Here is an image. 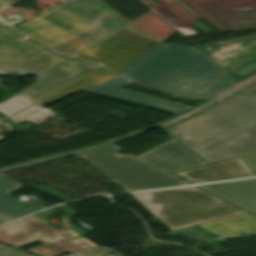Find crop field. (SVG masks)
I'll list each match as a JSON object with an SVG mask.
<instances>
[{
	"label": "crop field",
	"instance_id": "22",
	"mask_svg": "<svg viewBox=\"0 0 256 256\" xmlns=\"http://www.w3.org/2000/svg\"><path fill=\"white\" fill-rule=\"evenodd\" d=\"M239 93H241V94L247 96L248 98L256 101V84L247 88V89H245V90H243V91H241V92H239Z\"/></svg>",
	"mask_w": 256,
	"mask_h": 256
},
{
	"label": "crop field",
	"instance_id": "8",
	"mask_svg": "<svg viewBox=\"0 0 256 256\" xmlns=\"http://www.w3.org/2000/svg\"><path fill=\"white\" fill-rule=\"evenodd\" d=\"M195 49L236 83L256 73V34Z\"/></svg>",
	"mask_w": 256,
	"mask_h": 256
},
{
	"label": "crop field",
	"instance_id": "10",
	"mask_svg": "<svg viewBox=\"0 0 256 256\" xmlns=\"http://www.w3.org/2000/svg\"><path fill=\"white\" fill-rule=\"evenodd\" d=\"M128 84L130 83L116 77L110 82H108L106 85H101V86L86 90L84 92L148 107L151 109L159 110V111L174 114V115H177L191 108V107L163 101L160 99L121 90L122 87Z\"/></svg>",
	"mask_w": 256,
	"mask_h": 256
},
{
	"label": "crop field",
	"instance_id": "12",
	"mask_svg": "<svg viewBox=\"0 0 256 256\" xmlns=\"http://www.w3.org/2000/svg\"><path fill=\"white\" fill-rule=\"evenodd\" d=\"M176 174L196 183L255 176L240 158L176 172Z\"/></svg>",
	"mask_w": 256,
	"mask_h": 256
},
{
	"label": "crop field",
	"instance_id": "9",
	"mask_svg": "<svg viewBox=\"0 0 256 256\" xmlns=\"http://www.w3.org/2000/svg\"><path fill=\"white\" fill-rule=\"evenodd\" d=\"M10 224L21 231L9 235L2 227H0V242L14 247H19L36 240L46 245L79 237V235L69 229L60 232L33 216Z\"/></svg>",
	"mask_w": 256,
	"mask_h": 256
},
{
	"label": "crop field",
	"instance_id": "14",
	"mask_svg": "<svg viewBox=\"0 0 256 256\" xmlns=\"http://www.w3.org/2000/svg\"><path fill=\"white\" fill-rule=\"evenodd\" d=\"M197 227L219 238L243 236L247 232L256 235V216L247 213L197 225Z\"/></svg>",
	"mask_w": 256,
	"mask_h": 256
},
{
	"label": "crop field",
	"instance_id": "1",
	"mask_svg": "<svg viewBox=\"0 0 256 256\" xmlns=\"http://www.w3.org/2000/svg\"><path fill=\"white\" fill-rule=\"evenodd\" d=\"M165 131L209 163L256 153V103L238 95Z\"/></svg>",
	"mask_w": 256,
	"mask_h": 256
},
{
	"label": "crop field",
	"instance_id": "19",
	"mask_svg": "<svg viewBox=\"0 0 256 256\" xmlns=\"http://www.w3.org/2000/svg\"><path fill=\"white\" fill-rule=\"evenodd\" d=\"M54 116L56 115L38 107L37 105H34L9 118L14 122L30 121L38 125Z\"/></svg>",
	"mask_w": 256,
	"mask_h": 256
},
{
	"label": "crop field",
	"instance_id": "7",
	"mask_svg": "<svg viewBox=\"0 0 256 256\" xmlns=\"http://www.w3.org/2000/svg\"><path fill=\"white\" fill-rule=\"evenodd\" d=\"M157 43L122 27L73 57L97 62L119 73Z\"/></svg>",
	"mask_w": 256,
	"mask_h": 256
},
{
	"label": "crop field",
	"instance_id": "18",
	"mask_svg": "<svg viewBox=\"0 0 256 256\" xmlns=\"http://www.w3.org/2000/svg\"><path fill=\"white\" fill-rule=\"evenodd\" d=\"M93 248H97V246L84 239L83 237H79L71 240L49 244L44 247L28 249L25 251L36 254L38 256H60L64 253L72 254Z\"/></svg>",
	"mask_w": 256,
	"mask_h": 256
},
{
	"label": "crop field",
	"instance_id": "3",
	"mask_svg": "<svg viewBox=\"0 0 256 256\" xmlns=\"http://www.w3.org/2000/svg\"><path fill=\"white\" fill-rule=\"evenodd\" d=\"M113 12L102 0H68L14 30L71 56L110 34L102 27L100 19Z\"/></svg>",
	"mask_w": 256,
	"mask_h": 256
},
{
	"label": "crop field",
	"instance_id": "5",
	"mask_svg": "<svg viewBox=\"0 0 256 256\" xmlns=\"http://www.w3.org/2000/svg\"><path fill=\"white\" fill-rule=\"evenodd\" d=\"M132 195L154 218H159L170 231L246 213L198 187Z\"/></svg>",
	"mask_w": 256,
	"mask_h": 256
},
{
	"label": "crop field",
	"instance_id": "6",
	"mask_svg": "<svg viewBox=\"0 0 256 256\" xmlns=\"http://www.w3.org/2000/svg\"><path fill=\"white\" fill-rule=\"evenodd\" d=\"M112 145L75 157L87 160L127 192L189 184L133 154L119 156Z\"/></svg>",
	"mask_w": 256,
	"mask_h": 256
},
{
	"label": "crop field",
	"instance_id": "13",
	"mask_svg": "<svg viewBox=\"0 0 256 256\" xmlns=\"http://www.w3.org/2000/svg\"><path fill=\"white\" fill-rule=\"evenodd\" d=\"M256 215V179L200 186Z\"/></svg>",
	"mask_w": 256,
	"mask_h": 256
},
{
	"label": "crop field",
	"instance_id": "17",
	"mask_svg": "<svg viewBox=\"0 0 256 256\" xmlns=\"http://www.w3.org/2000/svg\"><path fill=\"white\" fill-rule=\"evenodd\" d=\"M125 27L144 37L158 42L162 41L164 38L174 32L151 12Z\"/></svg>",
	"mask_w": 256,
	"mask_h": 256
},
{
	"label": "crop field",
	"instance_id": "15",
	"mask_svg": "<svg viewBox=\"0 0 256 256\" xmlns=\"http://www.w3.org/2000/svg\"><path fill=\"white\" fill-rule=\"evenodd\" d=\"M23 187V184L0 174V224L37 211L8 194Z\"/></svg>",
	"mask_w": 256,
	"mask_h": 256
},
{
	"label": "crop field",
	"instance_id": "2",
	"mask_svg": "<svg viewBox=\"0 0 256 256\" xmlns=\"http://www.w3.org/2000/svg\"><path fill=\"white\" fill-rule=\"evenodd\" d=\"M119 75L146 88L200 99L235 83L194 48L166 43Z\"/></svg>",
	"mask_w": 256,
	"mask_h": 256
},
{
	"label": "crop field",
	"instance_id": "23",
	"mask_svg": "<svg viewBox=\"0 0 256 256\" xmlns=\"http://www.w3.org/2000/svg\"><path fill=\"white\" fill-rule=\"evenodd\" d=\"M243 158L250 166V168L256 173V154L244 156Z\"/></svg>",
	"mask_w": 256,
	"mask_h": 256
},
{
	"label": "crop field",
	"instance_id": "4",
	"mask_svg": "<svg viewBox=\"0 0 256 256\" xmlns=\"http://www.w3.org/2000/svg\"><path fill=\"white\" fill-rule=\"evenodd\" d=\"M5 67L41 74L37 83L17 93L35 103L98 66L52 54L0 25V70Z\"/></svg>",
	"mask_w": 256,
	"mask_h": 256
},
{
	"label": "crop field",
	"instance_id": "25",
	"mask_svg": "<svg viewBox=\"0 0 256 256\" xmlns=\"http://www.w3.org/2000/svg\"><path fill=\"white\" fill-rule=\"evenodd\" d=\"M11 6H13V5H11V4H9L5 1L0 0V12L9 8V7H11Z\"/></svg>",
	"mask_w": 256,
	"mask_h": 256
},
{
	"label": "crop field",
	"instance_id": "16",
	"mask_svg": "<svg viewBox=\"0 0 256 256\" xmlns=\"http://www.w3.org/2000/svg\"><path fill=\"white\" fill-rule=\"evenodd\" d=\"M92 72V71H91ZM87 75V74H86ZM85 76V75H84ZM115 77L111 73L107 72L106 70L102 68H97L92 73L88 74L87 76L83 78H79L80 80L66 86L65 88L49 95L45 99L41 100L39 104L46 106L52 102H55L59 99H62L66 96H69L71 94H74L78 91L93 87L97 84L105 83L108 80Z\"/></svg>",
	"mask_w": 256,
	"mask_h": 256
},
{
	"label": "crop field",
	"instance_id": "21",
	"mask_svg": "<svg viewBox=\"0 0 256 256\" xmlns=\"http://www.w3.org/2000/svg\"><path fill=\"white\" fill-rule=\"evenodd\" d=\"M110 250L100 249L96 251L82 253L81 256H105ZM0 256H31L6 246L0 245Z\"/></svg>",
	"mask_w": 256,
	"mask_h": 256
},
{
	"label": "crop field",
	"instance_id": "20",
	"mask_svg": "<svg viewBox=\"0 0 256 256\" xmlns=\"http://www.w3.org/2000/svg\"><path fill=\"white\" fill-rule=\"evenodd\" d=\"M33 103L19 97V96H14L2 103H0V112L6 116L15 113L21 109H24Z\"/></svg>",
	"mask_w": 256,
	"mask_h": 256
},
{
	"label": "crop field",
	"instance_id": "24",
	"mask_svg": "<svg viewBox=\"0 0 256 256\" xmlns=\"http://www.w3.org/2000/svg\"><path fill=\"white\" fill-rule=\"evenodd\" d=\"M3 228H4L9 234L14 233V232H16V231H19L18 229L14 228L13 226H11V225H9V224L3 226Z\"/></svg>",
	"mask_w": 256,
	"mask_h": 256
},
{
	"label": "crop field",
	"instance_id": "27",
	"mask_svg": "<svg viewBox=\"0 0 256 256\" xmlns=\"http://www.w3.org/2000/svg\"><path fill=\"white\" fill-rule=\"evenodd\" d=\"M106 256H116V255L108 253Z\"/></svg>",
	"mask_w": 256,
	"mask_h": 256
},
{
	"label": "crop field",
	"instance_id": "26",
	"mask_svg": "<svg viewBox=\"0 0 256 256\" xmlns=\"http://www.w3.org/2000/svg\"><path fill=\"white\" fill-rule=\"evenodd\" d=\"M5 1H7V2L13 4V5H15V4H17V3H19V2H21V1H23V0H5Z\"/></svg>",
	"mask_w": 256,
	"mask_h": 256
},
{
	"label": "crop field",
	"instance_id": "11",
	"mask_svg": "<svg viewBox=\"0 0 256 256\" xmlns=\"http://www.w3.org/2000/svg\"><path fill=\"white\" fill-rule=\"evenodd\" d=\"M138 157L170 173L207 164L173 139Z\"/></svg>",
	"mask_w": 256,
	"mask_h": 256
}]
</instances>
